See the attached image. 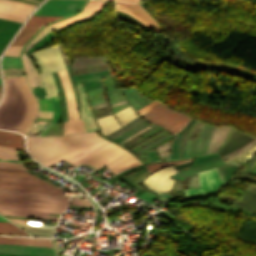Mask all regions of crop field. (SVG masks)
I'll list each match as a JSON object with an SVG mask.
<instances>
[{"label": "crop field", "instance_id": "crop-field-24", "mask_svg": "<svg viewBox=\"0 0 256 256\" xmlns=\"http://www.w3.org/2000/svg\"><path fill=\"white\" fill-rule=\"evenodd\" d=\"M21 228L25 229L31 234L40 235V236H50L53 228L49 227H39V226H29V225H19Z\"/></svg>", "mask_w": 256, "mask_h": 256}, {"label": "crop field", "instance_id": "crop-field-45", "mask_svg": "<svg viewBox=\"0 0 256 256\" xmlns=\"http://www.w3.org/2000/svg\"><path fill=\"white\" fill-rule=\"evenodd\" d=\"M0 256H21V255H7V254H0Z\"/></svg>", "mask_w": 256, "mask_h": 256}, {"label": "crop field", "instance_id": "crop-field-12", "mask_svg": "<svg viewBox=\"0 0 256 256\" xmlns=\"http://www.w3.org/2000/svg\"><path fill=\"white\" fill-rule=\"evenodd\" d=\"M175 172L177 171L173 166L161 169L146 178L143 183L155 191L168 192L173 181L168 178Z\"/></svg>", "mask_w": 256, "mask_h": 256}, {"label": "crop field", "instance_id": "crop-field-39", "mask_svg": "<svg viewBox=\"0 0 256 256\" xmlns=\"http://www.w3.org/2000/svg\"><path fill=\"white\" fill-rule=\"evenodd\" d=\"M0 172H2V173H12V174H21V175H31V176H33L32 174H30L28 172H22V171H12V170H2V169H0Z\"/></svg>", "mask_w": 256, "mask_h": 256}, {"label": "crop field", "instance_id": "crop-field-11", "mask_svg": "<svg viewBox=\"0 0 256 256\" xmlns=\"http://www.w3.org/2000/svg\"><path fill=\"white\" fill-rule=\"evenodd\" d=\"M128 154L130 153L114 144L83 164L91 165L100 169L104 166L107 167L111 165Z\"/></svg>", "mask_w": 256, "mask_h": 256}, {"label": "crop field", "instance_id": "crop-field-44", "mask_svg": "<svg viewBox=\"0 0 256 256\" xmlns=\"http://www.w3.org/2000/svg\"><path fill=\"white\" fill-rule=\"evenodd\" d=\"M176 183H177L176 181H173V184H172L171 190H175Z\"/></svg>", "mask_w": 256, "mask_h": 256}, {"label": "crop field", "instance_id": "crop-field-27", "mask_svg": "<svg viewBox=\"0 0 256 256\" xmlns=\"http://www.w3.org/2000/svg\"><path fill=\"white\" fill-rule=\"evenodd\" d=\"M0 233L28 235V234L24 233L23 231H21L20 229L13 226L12 224H10V223H2V222H0Z\"/></svg>", "mask_w": 256, "mask_h": 256}, {"label": "crop field", "instance_id": "crop-field-23", "mask_svg": "<svg viewBox=\"0 0 256 256\" xmlns=\"http://www.w3.org/2000/svg\"><path fill=\"white\" fill-rule=\"evenodd\" d=\"M0 210L1 211L27 213V214L45 215V216H47V214H48V213H43V212H33V211L14 210V209H5V208H0ZM1 211H0L1 214H6V215H16V216L44 218V219H53V220H57L58 219V218H54V217H43V216L26 215V214H18V213H9V212H1Z\"/></svg>", "mask_w": 256, "mask_h": 256}, {"label": "crop field", "instance_id": "crop-field-47", "mask_svg": "<svg viewBox=\"0 0 256 256\" xmlns=\"http://www.w3.org/2000/svg\"><path fill=\"white\" fill-rule=\"evenodd\" d=\"M5 219V218H4ZM2 217H0V221H5V222H7L6 220H4Z\"/></svg>", "mask_w": 256, "mask_h": 256}, {"label": "crop field", "instance_id": "crop-field-17", "mask_svg": "<svg viewBox=\"0 0 256 256\" xmlns=\"http://www.w3.org/2000/svg\"><path fill=\"white\" fill-rule=\"evenodd\" d=\"M0 243L52 247L49 239L0 237Z\"/></svg>", "mask_w": 256, "mask_h": 256}, {"label": "crop field", "instance_id": "crop-field-38", "mask_svg": "<svg viewBox=\"0 0 256 256\" xmlns=\"http://www.w3.org/2000/svg\"><path fill=\"white\" fill-rule=\"evenodd\" d=\"M47 124H33L29 132L43 130Z\"/></svg>", "mask_w": 256, "mask_h": 256}, {"label": "crop field", "instance_id": "crop-field-14", "mask_svg": "<svg viewBox=\"0 0 256 256\" xmlns=\"http://www.w3.org/2000/svg\"><path fill=\"white\" fill-rule=\"evenodd\" d=\"M0 253L54 256L52 248L0 244Z\"/></svg>", "mask_w": 256, "mask_h": 256}, {"label": "crop field", "instance_id": "crop-field-43", "mask_svg": "<svg viewBox=\"0 0 256 256\" xmlns=\"http://www.w3.org/2000/svg\"><path fill=\"white\" fill-rule=\"evenodd\" d=\"M37 120L50 122V120H51V119L37 118ZM37 120H36L34 123H36V122H37Z\"/></svg>", "mask_w": 256, "mask_h": 256}, {"label": "crop field", "instance_id": "crop-field-2", "mask_svg": "<svg viewBox=\"0 0 256 256\" xmlns=\"http://www.w3.org/2000/svg\"><path fill=\"white\" fill-rule=\"evenodd\" d=\"M101 139L103 138L95 132L63 137H27V148L42 163Z\"/></svg>", "mask_w": 256, "mask_h": 256}, {"label": "crop field", "instance_id": "crop-field-19", "mask_svg": "<svg viewBox=\"0 0 256 256\" xmlns=\"http://www.w3.org/2000/svg\"><path fill=\"white\" fill-rule=\"evenodd\" d=\"M137 164H140V162L130 154L107 168L116 174Z\"/></svg>", "mask_w": 256, "mask_h": 256}, {"label": "crop field", "instance_id": "crop-field-30", "mask_svg": "<svg viewBox=\"0 0 256 256\" xmlns=\"http://www.w3.org/2000/svg\"><path fill=\"white\" fill-rule=\"evenodd\" d=\"M104 3V1L89 0L85 8L101 10Z\"/></svg>", "mask_w": 256, "mask_h": 256}, {"label": "crop field", "instance_id": "crop-field-4", "mask_svg": "<svg viewBox=\"0 0 256 256\" xmlns=\"http://www.w3.org/2000/svg\"><path fill=\"white\" fill-rule=\"evenodd\" d=\"M0 187L58 194L63 192V189L57 188L37 177L2 173H0Z\"/></svg>", "mask_w": 256, "mask_h": 256}, {"label": "crop field", "instance_id": "crop-field-26", "mask_svg": "<svg viewBox=\"0 0 256 256\" xmlns=\"http://www.w3.org/2000/svg\"><path fill=\"white\" fill-rule=\"evenodd\" d=\"M63 27H56V26H45L25 47L24 53L31 47L33 46L40 38H42L47 32L50 30H58Z\"/></svg>", "mask_w": 256, "mask_h": 256}, {"label": "crop field", "instance_id": "crop-field-29", "mask_svg": "<svg viewBox=\"0 0 256 256\" xmlns=\"http://www.w3.org/2000/svg\"><path fill=\"white\" fill-rule=\"evenodd\" d=\"M0 17L5 19L20 21V22H23V20L26 18L25 15H20L16 13L1 11V10H0Z\"/></svg>", "mask_w": 256, "mask_h": 256}, {"label": "crop field", "instance_id": "crop-field-18", "mask_svg": "<svg viewBox=\"0 0 256 256\" xmlns=\"http://www.w3.org/2000/svg\"><path fill=\"white\" fill-rule=\"evenodd\" d=\"M0 193L35 196V197H45V198H54V199H64V200H69V198H70V196H66V195L47 194V193H38V192H29V191H20V190H11V189H1V188H0Z\"/></svg>", "mask_w": 256, "mask_h": 256}, {"label": "crop field", "instance_id": "crop-field-1", "mask_svg": "<svg viewBox=\"0 0 256 256\" xmlns=\"http://www.w3.org/2000/svg\"><path fill=\"white\" fill-rule=\"evenodd\" d=\"M4 83V97L0 103V128L25 134L36 117V101L24 76L5 80Z\"/></svg>", "mask_w": 256, "mask_h": 256}, {"label": "crop field", "instance_id": "crop-field-32", "mask_svg": "<svg viewBox=\"0 0 256 256\" xmlns=\"http://www.w3.org/2000/svg\"><path fill=\"white\" fill-rule=\"evenodd\" d=\"M71 205H85V206H91L88 199H82L80 200V197H72L71 198ZM93 206V205H92ZM91 206V207H92Z\"/></svg>", "mask_w": 256, "mask_h": 256}, {"label": "crop field", "instance_id": "crop-field-25", "mask_svg": "<svg viewBox=\"0 0 256 256\" xmlns=\"http://www.w3.org/2000/svg\"><path fill=\"white\" fill-rule=\"evenodd\" d=\"M118 121L120 122L121 126L130 121L132 118L137 116V114L134 113L131 106L114 113Z\"/></svg>", "mask_w": 256, "mask_h": 256}, {"label": "crop field", "instance_id": "crop-field-15", "mask_svg": "<svg viewBox=\"0 0 256 256\" xmlns=\"http://www.w3.org/2000/svg\"><path fill=\"white\" fill-rule=\"evenodd\" d=\"M34 5L17 2L13 0H0V9L28 15L33 10Z\"/></svg>", "mask_w": 256, "mask_h": 256}, {"label": "crop field", "instance_id": "crop-field-37", "mask_svg": "<svg viewBox=\"0 0 256 256\" xmlns=\"http://www.w3.org/2000/svg\"><path fill=\"white\" fill-rule=\"evenodd\" d=\"M98 12H99V11L84 9L80 14H78V15H76V16L93 17V16H95Z\"/></svg>", "mask_w": 256, "mask_h": 256}, {"label": "crop field", "instance_id": "crop-field-10", "mask_svg": "<svg viewBox=\"0 0 256 256\" xmlns=\"http://www.w3.org/2000/svg\"><path fill=\"white\" fill-rule=\"evenodd\" d=\"M200 190H184L186 196H207L223 185L216 169L199 173Z\"/></svg>", "mask_w": 256, "mask_h": 256}, {"label": "crop field", "instance_id": "crop-field-33", "mask_svg": "<svg viewBox=\"0 0 256 256\" xmlns=\"http://www.w3.org/2000/svg\"><path fill=\"white\" fill-rule=\"evenodd\" d=\"M36 99L43 98L46 96L44 88L42 85L31 88Z\"/></svg>", "mask_w": 256, "mask_h": 256}, {"label": "crop field", "instance_id": "crop-field-3", "mask_svg": "<svg viewBox=\"0 0 256 256\" xmlns=\"http://www.w3.org/2000/svg\"><path fill=\"white\" fill-rule=\"evenodd\" d=\"M42 73L41 79L47 96L57 95L50 72L66 69L57 45L31 53Z\"/></svg>", "mask_w": 256, "mask_h": 256}, {"label": "crop field", "instance_id": "crop-field-16", "mask_svg": "<svg viewBox=\"0 0 256 256\" xmlns=\"http://www.w3.org/2000/svg\"><path fill=\"white\" fill-rule=\"evenodd\" d=\"M21 60L29 87L40 85V78L30 58L27 57L25 54H22Z\"/></svg>", "mask_w": 256, "mask_h": 256}, {"label": "crop field", "instance_id": "crop-field-9", "mask_svg": "<svg viewBox=\"0 0 256 256\" xmlns=\"http://www.w3.org/2000/svg\"><path fill=\"white\" fill-rule=\"evenodd\" d=\"M85 0H47L33 15L67 16L80 9Z\"/></svg>", "mask_w": 256, "mask_h": 256}, {"label": "crop field", "instance_id": "crop-field-40", "mask_svg": "<svg viewBox=\"0 0 256 256\" xmlns=\"http://www.w3.org/2000/svg\"><path fill=\"white\" fill-rule=\"evenodd\" d=\"M0 207L15 208V209H24V210H34V211H44V212H50V213H52V211H48V210L30 209V208L13 207V206H4V205H0Z\"/></svg>", "mask_w": 256, "mask_h": 256}, {"label": "crop field", "instance_id": "crop-field-41", "mask_svg": "<svg viewBox=\"0 0 256 256\" xmlns=\"http://www.w3.org/2000/svg\"><path fill=\"white\" fill-rule=\"evenodd\" d=\"M52 112L39 111L38 117L51 118Z\"/></svg>", "mask_w": 256, "mask_h": 256}, {"label": "crop field", "instance_id": "crop-field-31", "mask_svg": "<svg viewBox=\"0 0 256 256\" xmlns=\"http://www.w3.org/2000/svg\"><path fill=\"white\" fill-rule=\"evenodd\" d=\"M38 102H39V110L52 111V106H51L48 98L39 99Z\"/></svg>", "mask_w": 256, "mask_h": 256}, {"label": "crop field", "instance_id": "crop-field-28", "mask_svg": "<svg viewBox=\"0 0 256 256\" xmlns=\"http://www.w3.org/2000/svg\"><path fill=\"white\" fill-rule=\"evenodd\" d=\"M50 100H51V102L53 104V108H54L52 123L59 122V120H60V107H59L58 95L50 97Z\"/></svg>", "mask_w": 256, "mask_h": 256}, {"label": "crop field", "instance_id": "crop-field-6", "mask_svg": "<svg viewBox=\"0 0 256 256\" xmlns=\"http://www.w3.org/2000/svg\"><path fill=\"white\" fill-rule=\"evenodd\" d=\"M57 73L61 80V84L66 96V102H67V108H68V121L64 123L63 135L67 133L86 131L82 120L81 119L79 120V117H78L77 106H76L74 94L71 88V84L67 75V71L65 70Z\"/></svg>", "mask_w": 256, "mask_h": 256}, {"label": "crop field", "instance_id": "crop-field-48", "mask_svg": "<svg viewBox=\"0 0 256 256\" xmlns=\"http://www.w3.org/2000/svg\"><path fill=\"white\" fill-rule=\"evenodd\" d=\"M34 1V0H33ZM38 2V1H37Z\"/></svg>", "mask_w": 256, "mask_h": 256}, {"label": "crop field", "instance_id": "crop-field-5", "mask_svg": "<svg viewBox=\"0 0 256 256\" xmlns=\"http://www.w3.org/2000/svg\"><path fill=\"white\" fill-rule=\"evenodd\" d=\"M143 117L152 124L160 125L174 135L184 128L190 119V117L170 110L161 103Z\"/></svg>", "mask_w": 256, "mask_h": 256}, {"label": "crop field", "instance_id": "crop-field-34", "mask_svg": "<svg viewBox=\"0 0 256 256\" xmlns=\"http://www.w3.org/2000/svg\"><path fill=\"white\" fill-rule=\"evenodd\" d=\"M157 104H159V102L153 101V102L147 104L146 106H144L143 108L137 110V113H139V114L142 116V115H144L146 112H148L149 110H151L153 107H155Z\"/></svg>", "mask_w": 256, "mask_h": 256}, {"label": "crop field", "instance_id": "crop-field-20", "mask_svg": "<svg viewBox=\"0 0 256 256\" xmlns=\"http://www.w3.org/2000/svg\"><path fill=\"white\" fill-rule=\"evenodd\" d=\"M96 121L101 129L102 134H104V135L119 128V125H118L117 121L114 119L112 114H110L106 117L97 119Z\"/></svg>", "mask_w": 256, "mask_h": 256}, {"label": "crop field", "instance_id": "crop-field-35", "mask_svg": "<svg viewBox=\"0 0 256 256\" xmlns=\"http://www.w3.org/2000/svg\"><path fill=\"white\" fill-rule=\"evenodd\" d=\"M22 46H10L5 55L18 56Z\"/></svg>", "mask_w": 256, "mask_h": 256}, {"label": "crop field", "instance_id": "crop-field-22", "mask_svg": "<svg viewBox=\"0 0 256 256\" xmlns=\"http://www.w3.org/2000/svg\"><path fill=\"white\" fill-rule=\"evenodd\" d=\"M62 17H48V16H31L24 27H40L43 24L57 20Z\"/></svg>", "mask_w": 256, "mask_h": 256}, {"label": "crop field", "instance_id": "crop-field-36", "mask_svg": "<svg viewBox=\"0 0 256 256\" xmlns=\"http://www.w3.org/2000/svg\"><path fill=\"white\" fill-rule=\"evenodd\" d=\"M82 19H86V18H82V17H72V18H69L67 20H64V21H61V22H58V23H55L53 25H57V26H65L71 22H74V21H78V20H82Z\"/></svg>", "mask_w": 256, "mask_h": 256}, {"label": "crop field", "instance_id": "crop-field-46", "mask_svg": "<svg viewBox=\"0 0 256 256\" xmlns=\"http://www.w3.org/2000/svg\"><path fill=\"white\" fill-rule=\"evenodd\" d=\"M120 1H132V2H138L139 0H120Z\"/></svg>", "mask_w": 256, "mask_h": 256}, {"label": "crop field", "instance_id": "crop-field-8", "mask_svg": "<svg viewBox=\"0 0 256 256\" xmlns=\"http://www.w3.org/2000/svg\"><path fill=\"white\" fill-rule=\"evenodd\" d=\"M112 144L113 143L103 139L101 141L90 144L88 146H85V147L75 150L73 152L67 153V154L57 157L55 159L49 160L42 164L49 167V166L61 161L62 159H65L77 166V165L83 163L84 161L90 159L94 155L98 154L102 150L106 149L107 147H109Z\"/></svg>", "mask_w": 256, "mask_h": 256}, {"label": "crop field", "instance_id": "crop-field-13", "mask_svg": "<svg viewBox=\"0 0 256 256\" xmlns=\"http://www.w3.org/2000/svg\"><path fill=\"white\" fill-rule=\"evenodd\" d=\"M121 3L129 5L131 8L126 5L116 3V10L128 13L157 34L160 33V30L154 20L138 4L128 2Z\"/></svg>", "mask_w": 256, "mask_h": 256}, {"label": "crop field", "instance_id": "crop-field-7", "mask_svg": "<svg viewBox=\"0 0 256 256\" xmlns=\"http://www.w3.org/2000/svg\"><path fill=\"white\" fill-rule=\"evenodd\" d=\"M0 204L64 211L68 201L0 194Z\"/></svg>", "mask_w": 256, "mask_h": 256}, {"label": "crop field", "instance_id": "crop-field-21", "mask_svg": "<svg viewBox=\"0 0 256 256\" xmlns=\"http://www.w3.org/2000/svg\"><path fill=\"white\" fill-rule=\"evenodd\" d=\"M39 28H22L11 45H23Z\"/></svg>", "mask_w": 256, "mask_h": 256}, {"label": "crop field", "instance_id": "crop-field-42", "mask_svg": "<svg viewBox=\"0 0 256 256\" xmlns=\"http://www.w3.org/2000/svg\"><path fill=\"white\" fill-rule=\"evenodd\" d=\"M8 219H10L12 221H15V222H21V223H25L26 222V220H22V219H12V218H8Z\"/></svg>", "mask_w": 256, "mask_h": 256}]
</instances>
